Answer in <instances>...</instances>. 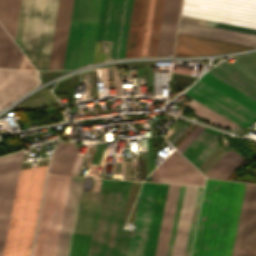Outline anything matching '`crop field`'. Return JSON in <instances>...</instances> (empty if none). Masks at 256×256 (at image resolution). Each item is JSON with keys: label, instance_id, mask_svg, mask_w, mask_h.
<instances>
[{"label": "crop field", "instance_id": "8a807250", "mask_svg": "<svg viewBox=\"0 0 256 256\" xmlns=\"http://www.w3.org/2000/svg\"><path fill=\"white\" fill-rule=\"evenodd\" d=\"M23 153L0 158V256L3 255ZM46 167L20 172L4 256H29Z\"/></svg>", "mask_w": 256, "mask_h": 256}, {"label": "crop field", "instance_id": "ac0d7876", "mask_svg": "<svg viewBox=\"0 0 256 256\" xmlns=\"http://www.w3.org/2000/svg\"><path fill=\"white\" fill-rule=\"evenodd\" d=\"M256 47V29L181 15L175 57L220 54Z\"/></svg>", "mask_w": 256, "mask_h": 256}, {"label": "crop field", "instance_id": "34b2d1b8", "mask_svg": "<svg viewBox=\"0 0 256 256\" xmlns=\"http://www.w3.org/2000/svg\"><path fill=\"white\" fill-rule=\"evenodd\" d=\"M130 184L103 179L87 256H116ZM130 233L122 229L117 256H126Z\"/></svg>", "mask_w": 256, "mask_h": 256}, {"label": "crop field", "instance_id": "412701ff", "mask_svg": "<svg viewBox=\"0 0 256 256\" xmlns=\"http://www.w3.org/2000/svg\"><path fill=\"white\" fill-rule=\"evenodd\" d=\"M70 177L48 175L32 256H54Z\"/></svg>", "mask_w": 256, "mask_h": 256}, {"label": "crop field", "instance_id": "f4fd0767", "mask_svg": "<svg viewBox=\"0 0 256 256\" xmlns=\"http://www.w3.org/2000/svg\"><path fill=\"white\" fill-rule=\"evenodd\" d=\"M100 5L89 0L79 66L92 63ZM86 6L87 0H74L63 69L77 68Z\"/></svg>", "mask_w": 256, "mask_h": 256}, {"label": "crop field", "instance_id": "dd49c442", "mask_svg": "<svg viewBox=\"0 0 256 256\" xmlns=\"http://www.w3.org/2000/svg\"><path fill=\"white\" fill-rule=\"evenodd\" d=\"M181 14L256 28V0H183Z\"/></svg>", "mask_w": 256, "mask_h": 256}, {"label": "crop field", "instance_id": "e52e79f7", "mask_svg": "<svg viewBox=\"0 0 256 256\" xmlns=\"http://www.w3.org/2000/svg\"><path fill=\"white\" fill-rule=\"evenodd\" d=\"M169 185L159 184L145 256H155ZM179 185H170L156 256H165Z\"/></svg>", "mask_w": 256, "mask_h": 256}, {"label": "crop field", "instance_id": "d8731c3e", "mask_svg": "<svg viewBox=\"0 0 256 256\" xmlns=\"http://www.w3.org/2000/svg\"><path fill=\"white\" fill-rule=\"evenodd\" d=\"M184 188H185V186L181 185L167 256H171L174 237H175V231H176V226H177V221H178V216H179V211H180L182 197H183V193H184ZM196 189H197V187H191V186H186V188H185L181 216H180L179 223H178V228H177V233H176L172 256H183L184 255L185 244H186V239H187V234H188V229H189V224H190V219H191V214H192V209H193V204H194V199H195V194H196ZM201 190H202V187H198L184 256L189 255V250H190V245H191V240H192V235H193V230H194V225H195V220H196V215H197V210H198V204H199V199H200V195H201Z\"/></svg>", "mask_w": 256, "mask_h": 256}, {"label": "crop field", "instance_id": "5a996713", "mask_svg": "<svg viewBox=\"0 0 256 256\" xmlns=\"http://www.w3.org/2000/svg\"><path fill=\"white\" fill-rule=\"evenodd\" d=\"M184 94L213 109L243 128L256 120V113L202 81Z\"/></svg>", "mask_w": 256, "mask_h": 256}, {"label": "crop field", "instance_id": "3316defc", "mask_svg": "<svg viewBox=\"0 0 256 256\" xmlns=\"http://www.w3.org/2000/svg\"><path fill=\"white\" fill-rule=\"evenodd\" d=\"M235 61H223L212 67L208 73L256 100V52L232 57Z\"/></svg>", "mask_w": 256, "mask_h": 256}, {"label": "crop field", "instance_id": "28ad6ade", "mask_svg": "<svg viewBox=\"0 0 256 256\" xmlns=\"http://www.w3.org/2000/svg\"><path fill=\"white\" fill-rule=\"evenodd\" d=\"M158 184L143 182L138 198L127 256H143Z\"/></svg>", "mask_w": 256, "mask_h": 256}, {"label": "crop field", "instance_id": "d1516ede", "mask_svg": "<svg viewBox=\"0 0 256 256\" xmlns=\"http://www.w3.org/2000/svg\"><path fill=\"white\" fill-rule=\"evenodd\" d=\"M164 0H143L134 57L155 56Z\"/></svg>", "mask_w": 256, "mask_h": 256}, {"label": "crop field", "instance_id": "22f410ed", "mask_svg": "<svg viewBox=\"0 0 256 256\" xmlns=\"http://www.w3.org/2000/svg\"><path fill=\"white\" fill-rule=\"evenodd\" d=\"M233 182L218 180L203 256H218Z\"/></svg>", "mask_w": 256, "mask_h": 256}, {"label": "crop field", "instance_id": "cbeb9de0", "mask_svg": "<svg viewBox=\"0 0 256 256\" xmlns=\"http://www.w3.org/2000/svg\"><path fill=\"white\" fill-rule=\"evenodd\" d=\"M156 182L203 185L204 177L176 151H173L155 170Z\"/></svg>", "mask_w": 256, "mask_h": 256}, {"label": "crop field", "instance_id": "5142ce71", "mask_svg": "<svg viewBox=\"0 0 256 256\" xmlns=\"http://www.w3.org/2000/svg\"><path fill=\"white\" fill-rule=\"evenodd\" d=\"M83 180L77 177L70 179L55 256H69Z\"/></svg>", "mask_w": 256, "mask_h": 256}, {"label": "crop field", "instance_id": "d9b57169", "mask_svg": "<svg viewBox=\"0 0 256 256\" xmlns=\"http://www.w3.org/2000/svg\"><path fill=\"white\" fill-rule=\"evenodd\" d=\"M72 3L59 0L48 69H62Z\"/></svg>", "mask_w": 256, "mask_h": 256}, {"label": "crop field", "instance_id": "733c2abd", "mask_svg": "<svg viewBox=\"0 0 256 256\" xmlns=\"http://www.w3.org/2000/svg\"><path fill=\"white\" fill-rule=\"evenodd\" d=\"M35 85V72L0 69V108Z\"/></svg>", "mask_w": 256, "mask_h": 256}, {"label": "crop field", "instance_id": "4a817a6b", "mask_svg": "<svg viewBox=\"0 0 256 256\" xmlns=\"http://www.w3.org/2000/svg\"><path fill=\"white\" fill-rule=\"evenodd\" d=\"M181 0H165L156 56L172 54Z\"/></svg>", "mask_w": 256, "mask_h": 256}, {"label": "crop field", "instance_id": "bc2a9ffb", "mask_svg": "<svg viewBox=\"0 0 256 256\" xmlns=\"http://www.w3.org/2000/svg\"><path fill=\"white\" fill-rule=\"evenodd\" d=\"M133 0H118L109 60L124 58Z\"/></svg>", "mask_w": 256, "mask_h": 256}, {"label": "crop field", "instance_id": "214f88e0", "mask_svg": "<svg viewBox=\"0 0 256 256\" xmlns=\"http://www.w3.org/2000/svg\"><path fill=\"white\" fill-rule=\"evenodd\" d=\"M217 180L207 179L191 256H202Z\"/></svg>", "mask_w": 256, "mask_h": 256}, {"label": "crop field", "instance_id": "92a150f3", "mask_svg": "<svg viewBox=\"0 0 256 256\" xmlns=\"http://www.w3.org/2000/svg\"><path fill=\"white\" fill-rule=\"evenodd\" d=\"M244 184L236 183L233 184L221 249L219 256H230L242 191Z\"/></svg>", "mask_w": 256, "mask_h": 256}, {"label": "crop field", "instance_id": "dafd665d", "mask_svg": "<svg viewBox=\"0 0 256 256\" xmlns=\"http://www.w3.org/2000/svg\"><path fill=\"white\" fill-rule=\"evenodd\" d=\"M255 185L245 184L231 256H240Z\"/></svg>", "mask_w": 256, "mask_h": 256}, {"label": "crop field", "instance_id": "00972430", "mask_svg": "<svg viewBox=\"0 0 256 256\" xmlns=\"http://www.w3.org/2000/svg\"><path fill=\"white\" fill-rule=\"evenodd\" d=\"M243 161L241 156L229 149L204 175L226 179Z\"/></svg>", "mask_w": 256, "mask_h": 256}, {"label": "crop field", "instance_id": "a9b5d70f", "mask_svg": "<svg viewBox=\"0 0 256 256\" xmlns=\"http://www.w3.org/2000/svg\"><path fill=\"white\" fill-rule=\"evenodd\" d=\"M117 0H103L97 40L111 42Z\"/></svg>", "mask_w": 256, "mask_h": 256}, {"label": "crop field", "instance_id": "4177f3b9", "mask_svg": "<svg viewBox=\"0 0 256 256\" xmlns=\"http://www.w3.org/2000/svg\"><path fill=\"white\" fill-rule=\"evenodd\" d=\"M200 80L206 82L207 84L211 85L212 87L218 89L219 91L223 92L224 94L230 96L231 98L237 100L238 102L242 103L243 105L249 107L250 109L256 112V101L251 99L250 97L246 96L245 94L239 92L238 90L232 88L231 86L227 85L226 83L220 81L219 79L215 78L210 74L204 75Z\"/></svg>", "mask_w": 256, "mask_h": 256}, {"label": "crop field", "instance_id": "730fd06b", "mask_svg": "<svg viewBox=\"0 0 256 256\" xmlns=\"http://www.w3.org/2000/svg\"><path fill=\"white\" fill-rule=\"evenodd\" d=\"M20 0H0V22L15 37Z\"/></svg>", "mask_w": 256, "mask_h": 256}, {"label": "crop field", "instance_id": "eef30255", "mask_svg": "<svg viewBox=\"0 0 256 256\" xmlns=\"http://www.w3.org/2000/svg\"><path fill=\"white\" fill-rule=\"evenodd\" d=\"M219 136L220 132L212 130L186 158L197 167L219 146L216 141Z\"/></svg>", "mask_w": 256, "mask_h": 256}, {"label": "crop field", "instance_id": "ae1a2a85", "mask_svg": "<svg viewBox=\"0 0 256 256\" xmlns=\"http://www.w3.org/2000/svg\"><path fill=\"white\" fill-rule=\"evenodd\" d=\"M242 256H256V187H255Z\"/></svg>", "mask_w": 256, "mask_h": 256}, {"label": "crop field", "instance_id": "d3111659", "mask_svg": "<svg viewBox=\"0 0 256 256\" xmlns=\"http://www.w3.org/2000/svg\"><path fill=\"white\" fill-rule=\"evenodd\" d=\"M189 108L194 110V115L208 120L218 126L226 127L232 130L236 125L193 100L190 102Z\"/></svg>", "mask_w": 256, "mask_h": 256}, {"label": "crop field", "instance_id": "750c4746", "mask_svg": "<svg viewBox=\"0 0 256 256\" xmlns=\"http://www.w3.org/2000/svg\"><path fill=\"white\" fill-rule=\"evenodd\" d=\"M142 0H134L125 58L133 57Z\"/></svg>", "mask_w": 256, "mask_h": 256}, {"label": "crop field", "instance_id": "bd1437ed", "mask_svg": "<svg viewBox=\"0 0 256 256\" xmlns=\"http://www.w3.org/2000/svg\"><path fill=\"white\" fill-rule=\"evenodd\" d=\"M14 42L0 25V67L10 68Z\"/></svg>", "mask_w": 256, "mask_h": 256}, {"label": "crop field", "instance_id": "1d83c4d3", "mask_svg": "<svg viewBox=\"0 0 256 256\" xmlns=\"http://www.w3.org/2000/svg\"><path fill=\"white\" fill-rule=\"evenodd\" d=\"M70 144L71 143L58 142L55 148V151L52 155V158L50 160L49 170H48L49 173H55V174L60 173L61 167L65 159L61 157V154L62 152L67 153Z\"/></svg>", "mask_w": 256, "mask_h": 256}, {"label": "crop field", "instance_id": "120bbe31", "mask_svg": "<svg viewBox=\"0 0 256 256\" xmlns=\"http://www.w3.org/2000/svg\"><path fill=\"white\" fill-rule=\"evenodd\" d=\"M74 143L71 144L68 155L66 157L65 163L63 165L62 171L60 174L68 175L71 169L73 160L79 148H73Z\"/></svg>", "mask_w": 256, "mask_h": 256}, {"label": "crop field", "instance_id": "d32e631a", "mask_svg": "<svg viewBox=\"0 0 256 256\" xmlns=\"http://www.w3.org/2000/svg\"><path fill=\"white\" fill-rule=\"evenodd\" d=\"M210 131L211 129L204 128L181 153L186 157Z\"/></svg>", "mask_w": 256, "mask_h": 256}, {"label": "crop field", "instance_id": "5866460e", "mask_svg": "<svg viewBox=\"0 0 256 256\" xmlns=\"http://www.w3.org/2000/svg\"><path fill=\"white\" fill-rule=\"evenodd\" d=\"M203 128L198 125L176 149L181 152Z\"/></svg>", "mask_w": 256, "mask_h": 256}, {"label": "crop field", "instance_id": "028f5c9d", "mask_svg": "<svg viewBox=\"0 0 256 256\" xmlns=\"http://www.w3.org/2000/svg\"><path fill=\"white\" fill-rule=\"evenodd\" d=\"M110 44L111 43H109V46H108L107 60H108V57H109ZM99 46H100V42L96 41V47H95V54H94L93 64L97 63V62L104 61L105 52H99Z\"/></svg>", "mask_w": 256, "mask_h": 256}, {"label": "crop field", "instance_id": "e1f06a70", "mask_svg": "<svg viewBox=\"0 0 256 256\" xmlns=\"http://www.w3.org/2000/svg\"><path fill=\"white\" fill-rule=\"evenodd\" d=\"M83 156L84 155L77 154L76 159H75L74 164H73V167H72L71 172H70L69 175H76L77 174V172H78V170L81 166Z\"/></svg>", "mask_w": 256, "mask_h": 256}, {"label": "crop field", "instance_id": "0bd39190", "mask_svg": "<svg viewBox=\"0 0 256 256\" xmlns=\"http://www.w3.org/2000/svg\"><path fill=\"white\" fill-rule=\"evenodd\" d=\"M113 75H114L115 95H120L119 76L117 75V69H113Z\"/></svg>", "mask_w": 256, "mask_h": 256}, {"label": "crop field", "instance_id": "b80d0937", "mask_svg": "<svg viewBox=\"0 0 256 256\" xmlns=\"http://www.w3.org/2000/svg\"><path fill=\"white\" fill-rule=\"evenodd\" d=\"M26 65H27V60H26V58L23 56V54L20 52V53H19V59H18L17 68L26 69Z\"/></svg>", "mask_w": 256, "mask_h": 256}, {"label": "crop field", "instance_id": "c035e120", "mask_svg": "<svg viewBox=\"0 0 256 256\" xmlns=\"http://www.w3.org/2000/svg\"><path fill=\"white\" fill-rule=\"evenodd\" d=\"M18 53H19V49H18V47L15 45V46H14V52H13V59H12L11 68H16L17 59H18Z\"/></svg>", "mask_w": 256, "mask_h": 256}, {"label": "crop field", "instance_id": "c21b1889", "mask_svg": "<svg viewBox=\"0 0 256 256\" xmlns=\"http://www.w3.org/2000/svg\"><path fill=\"white\" fill-rule=\"evenodd\" d=\"M139 168H140V177H141V180H143V178L145 177L143 160L139 161Z\"/></svg>", "mask_w": 256, "mask_h": 256}, {"label": "crop field", "instance_id": "03da06ac", "mask_svg": "<svg viewBox=\"0 0 256 256\" xmlns=\"http://www.w3.org/2000/svg\"><path fill=\"white\" fill-rule=\"evenodd\" d=\"M125 151H130V149H125ZM130 157H131V155H130Z\"/></svg>", "mask_w": 256, "mask_h": 256}]
</instances>
